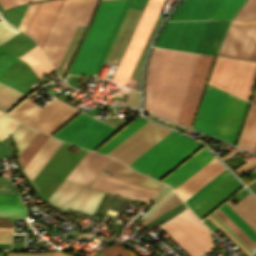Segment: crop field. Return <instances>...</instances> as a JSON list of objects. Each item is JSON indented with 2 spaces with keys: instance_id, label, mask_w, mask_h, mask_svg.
<instances>
[{
  "instance_id": "crop-field-34",
  "label": "crop field",
  "mask_w": 256,
  "mask_h": 256,
  "mask_svg": "<svg viewBox=\"0 0 256 256\" xmlns=\"http://www.w3.org/2000/svg\"><path fill=\"white\" fill-rule=\"evenodd\" d=\"M227 217H229L245 234L256 242V232L242 220L226 203L219 208Z\"/></svg>"
},
{
  "instance_id": "crop-field-40",
  "label": "crop field",
  "mask_w": 256,
  "mask_h": 256,
  "mask_svg": "<svg viewBox=\"0 0 256 256\" xmlns=\"http://www.w3.org/2000/svg\"><path fill=\"white\" fill-rule=\"evenodd\" d=\"M18 30L13 28L12 26L8 25L5 21L0 23V44L13 35L17 34Z\"/></svg>"
},
{
  "instance_id": "crop-field-39",
  "label": "crop field",
  "mask_w": 256,
  "mask_h": 256,
  "mask_svg": "<svg viewBox=\"0 0 256 256\" xmlns=\"http://www.w3.org/2000/svg\"><path fill=\"white\" fill-rule=\"evenodd\" d=\"M234 19H256V0H248Z\"/></svg>"
},
{
  "instance_id": "crop-field-52",
  "label": "crop field",
  "mask_w": 256,
  "mask_h": 256,
  "mask_svg": "<svg viewBox=\"0 0 256 256\" xmlns=\"http://www.w3.org/2000/svg\"><path fill=\"white\" fill-rule=\"evenodd\" d=\"M0 227H12V221L8 222V218H0Z\"/></svg>"
},
{
  "instance_id": "crop-field-8",
  "label": "crop field",
  "mask_w": 256,
  "mask_h": 256,
  "mask_svg": "<svg viewBox=\"0 0 256 256\" xmlns=\"http://www.w3.org/2000/svg\"><path fill=\"white\" fill-rule=\"evenodd\" d=\"M77 113L79 111L56 99L42 109L27 99L9 114L51 135Z\"/></svg>"
},
{
  "instance_id": "crop-field-43",
  "label": "crop field",
  "mask_w": 256,
  "mask_h": 256,
  "mask_svg": "<svg viewBox=\"0 0 256 256\" xmlns=\"http://www.w3.org/2000/svg\"><path fill=\"white\" fill-rule=\"evenodd\" d=\"M0 205L24 206L19 195H0Z\"/></svg>"
},
{
  "instance_id": "crop-field-7",
  "label": "crop field",
  "mask_w": 256,
  "mask_h": 256,
  "mask_svg": "<svg viewBox=\"0 0 256 256\" xmlns=\"http://www.w3.org/2000/svg\"><path fill=\"white\" fill-rule=\"evenodd\" d=\"M159 226L190 256L214 249L209 230L188 208Z\"/></svg>"
},
{
  "instance_id": "crop-field-53",
  "label": "crop field",
  "mask_w": 256,
  "mask_h": 256,
  "mask_svg": "<svg viewBox=\"0 0 256 256\" xmlns=\"http://www.w3.org/2000/svg\"><path fill=\"white\" fill-rule=\"evenodd\" d=\"M11 235H0V243H10Z\"/></svg>"
},
{
  "instance_id": "crop-field-14",
  "label": "crop field",
  "mask_w": 256,
  "mask_h": 256,
  "mask_svg": "<svg viewBox=\"0 0 256 256\" xmlns=\"http://www.w3.org/2000/svg\"><path fill=\"white\" fill-rule=\"evenodd\" d=\"M218 55L256 60V21H233Z\"/></svg>"
},
{
  "instance_id": "crop-field-9",
  "label": "crop field",
  "mask_w": 256,
  "mask_h": 256,
  "mask_svg": "<svg viewBox=\"0 0 256 256\" xmlns=\"http://www.w3.org/2000/svg\"><path fill=\"white\" fill-rule=\"evenodd\" d=\"M164 0H149L129 45L123 55L113 81L126 85L135 63L141 53Z\"/></svg>"
},
{
  "instance_id": "crop-field-48",
  "label": "crop field",
  "mask_w": 256,
  "mask_h": 256,
  "mask_svg": "<svg viewBox=\"0 0 256 256\" xmlns=\"http://www.w3.org/2000/svg\"><path fill=\"white\" fill-rule=\"evenodd\" d=\"M0 194H18L14 185H0Z\"/></svg>"
},
{
  "instance_id": "crop-field-59",
  "label": "crop field",
  "mask_w": 256,
  "mask_h": 256,
  "mask_svg": "<svg viewBox=\"0 0 256 256\" xmlns=\"http://www.w3.org/2000/svg\"><path fill=\"white\" fill-rule=\"evenodd\" d=\"M23 3H26V2H31V1H37V0H22Z\"/></svg>"
},
{
  "instance_id": "crop-field-25",
  "label": "crop field",
  "mask_w": 256,
  "mask_h": 256,
  "mask_svg": "<svg viewBox=\"0 0 256 256\" xmlns=\"http://www.w3.org/2000/svg\"><path fill=\"white\" fill-rule=\"evenodd\" d=\"M61 143L62 141L53 139L51 137L49 138V140L45 143L41 150L23 170L30 181L42 168L46 161L51 157V155L56 151V149L61 145Z\"/></svg>"
},
{
  "instance_id": "crop-field-38",
  "label": "crop field",
  "mask_w": 256,
  "mask_h": 256,
  "mask_svg": "<svg viewBox=\"0 0 256 256\" xmlns=\"http://www.w3.org/2000/svg\"><path fill=\"white\" fill-rule=\"evenodd\" d=\"M20 122L0 112V140L10 135Z\"/></svg>"
},
{
  "instance_id": "crop-field-22",
  "label": "crop field",
  "mask_w": 256,
  "mask_h": 256,
  "mask_svg": "<svg viewBox=\"0 0 256 256\" xmlns=\"http://www.w3.org/2000/svg\"><path fill=\"white\" fill-rule=\"evenodd\" d=\"M229 21H208L195 52L214 55Z\"/></svg>"
},
{
  "instance_id": "crop-field-37",
  "label": "crop field",
  "mask_w": 256,
  "mask_h": 256,
  "mask_svg": "<svg viewBox=\"0 0 256 256\" xmlns=\"http://www.w3.org/2000/svg\"><path fill=\"white\" fill-rule=\"evenodd\" d=\"M131 1H132V0H126L125 4H124V6H123V9H122V11H121V13H120V15H119V17H118V20H117V22H116V24H115V26H114V29H113V31H112L110 37H109V40H108V42H107V44H106V46H105V49H104V51H103V53H102V55H101V58H100V60H99V62H98V64H97V66H96V69H95V71H94L95 73L98 72V70H99V68H100V66H101V64H102V62H103V60H104V58H105V56H106V53H107V51H108V49H109V47H110V45H111V43H112V41H113V39H114V37H115V34H116V32H117V30H118V28H119V26H120V24H121V22H122V20H123V18H124V15H125V13H126L128 7H129V5H130V3H131ZM98 73H99V72H98Z\"/></svg>"
},
{
  "instance_id": "crop-field-45",
  "label": "crop field",
  "mask_w": 256,
  "mask_h": 256,
  "mask_svg": "<svg viewBox=\"0 0 256 256\" xmlns=\"http://www.w3.org/2000/svg\"><path fill=\"white\" fill-rule=\"evenodd\" d=\"M96 2H97V0H90L89 5H88L79 25L86 26L91 14H92V11L95 7Z\"/></svg>"
},
{
  "instance_id": "crop-field-11",
  "label": "crop field",
  "mask_w": 256,
  "mask_h": 256,
  "mask_svg": "<svg viewBox=\"0 0 256 256\" xmlns=\"http://www.w3.org/2000/svg\"><path fill=\"white\" fill-rule=\"evenodd\" d=\"M241 186L226 169L185 203L201 219Z\"/></svg>"
},
{
  "instance_id": "crop-field-4",
  "label": "crop field",
  "mask_w": 256,
  "mask_h": 256,
  "mask_svg": "<svg viewBox=\"0 0 256 256\" xmlns=\"http://www.w3.org/2000/svg\"><path fill=\"white\" fill-rule=\"evenodd\" d=\"M125 0L103 1L70 74L91 76Z\"/></svg>"
},
{
  "instance_id": "crop-field-30",
  "label": "crop field",
  "mask_w": 256,
  "mask_h": 256,
  "mask_svg": "<svg viewBox=\"0 0 256 256\" xmlns=\"http://www.w3.org/2000/svg\"><path fill=\"white\" fill-rule=\"evenodd\" d=\"M141 117V116H140ZM139 117V118H140ZM136 121V120H135ZM147 120L143 117L138 119L120 134H118L115 138L105 144L102 148H100L97 152L106 155L109 153L113 148H115L118 144H120L123 140H125L129 135H131L134 131H136L139 127H141Z\"/></svg>"
},
{
  "instance_id": "crop-field-17",
  "label": "crop field",
  "mask_w": 256,
  "mask_h": 256,
  "mask_svg": "<svg viewBox=\"0 0 256 256\" xmlns=\"http://www.w3.org/2000/svg\"><path fill=\"white\" fill-rule=\"evenodd\" d=\"M62 1L63 0H52L40 3L26 32L38 42L41 48Z\"/></svg>"
},
{
  "instance_id": "crop-field-57",
  "label": "crop field",
  "mask_w": 256,
  "mask_h": 256,
  "mask_svg": "<svg viewBox=\"0 0 256 256\" xmlns=\"http://www.w3.org/2000/svg\"><path fill=\"white\" fill-rule=\"evenodd\" d=\"M169 186H165L163 190L156 196V198L153 200V202L168 188Z\"/></svg>"
},
{
  "instance_id": "crop-field-15",
  "label": "crop field",
  "mask_w": 256,
  "mask_h": 256,
  "mask_svg": "<svg viewBox=\"0 0 256 256\" xmlns=\"http://www.w3.org/2000/svg\"><path fill=\"white\" fill-rule=\"evenodd\" d=\"M206 22H167L155 45L194 52Z\"/></svg>"
},
{
  "instance_id": "crop-field-35",
  "label": "crop field",
  "mask_w": 256,
  "mask_h": 256,
  "mask_svg": "<svg viewBox=\"0 0 256 256\" xmlns=\"http://www.w3.org/2000/svg\"><path fill=\"white\" fill-rule=\"evenodd\" d=\"M24 95L0 84V110L6 111Z\"/></svg>"
},
{
  "instance_id": "crop-field-56",
  "label": "crop field",
  "mask_w": 256,
  "mask_h": 256,
  "mask_svg": "<svg viewBox=\"0 0 256 256\" xmlns=\"http://www.w3.org/2000/svg\"><path fill=\"white\" fill-rule=\"evenodd\" d=\"M10 244H0V249H9Z\"/></svg>"
},
{
  "instance_id": "crop-field-62",
  "label": "crop field",
  "mask_w": 256,
  "mask_h": 256,
  "mask_svg": "<svg viewBox=\"0 0 256 256\" xmlns=\"http://www.w3.org/2000/svg\"><path fill=\"white\" fill-rule=\"evenodd\" d=\"M254 104H256V96H255V99H254V102H253Z\"/></svg>"
},
{
  "instance_id": "crop-field-5",
  "label": "crop field",
  "mask_w": 256,
  "mask_h": 256,
  "mask_svg": "<svg viewBox=\"0 0 256 256\" xmlns=\"http://www.w3.org/2000/svg\"><path fill=\"white\" fill-rule=\"evenodd\" d=\"M214 158L204 147L162 182L170 185L175 190ZM224 169L226 168L215 158L175 191L184 201Z\"/></svg>"
},
{
  "instance_id": "crop-field-24",
  "label": "crop field",
  "mask_w": 256,
  "mask_h": 256,
  "mask_svg": "<svg viewBox=\"0 0 256 256\" xmlns=\"http://www.w3.org/2000/svg\"><path fill=\"white\" fill-rule=\"evenodd\" d=\"M75 0H64L61 8L57 14V17L54 21V24L50 30V33L46 39V42L42 48L45 55L49 58L53 47L58 39V36L62 30V27L67 19V16L72 8V5Z\"/></svg>"
},
{
  "instance_id": "crop-field-31",
  "label": "crop field",
  "mask_w": 256,
  "mask_h": 256,
  "mask_svg": "<svg viewBox=\"0 0 256 256\" xmlns=\"http://www.w3.org/2000/svg\"><path fill=\"white\" fill-rule=\"evenodd\" d=\"M244 0H223L210 20L231 19Z\"/></svg>"
},
{
  "instance_id": "crop-field-1",
  "label": "crop field",
  "mask_w": 256,
  "mask_h": 256,
  "mask_svg": "<svg viewBox=\"0 0 256 256\" xmlns=\"http://www.w3.org/2000/svg\"><path fill=\"white\" fill-rule=\"evenodd\" d=\"M199 56L154 48L147 67L144 109L177 122Z\"/></svg>"
},
{
  "instance_id": "crop-field-49",
  "label": "crop field",
  "mask_w": 256,
  "mask_h": 256,
  "mask_svg": "<svg viewBox=\"0 0 256 256\" xmlns=\"http://www.w3.org/2000/svg\"><path fill=\"white\" fill-rule=\"evenodd\" d=\"M254 165H256V158L252 159L251 161L247 162L246 164H244L243 166L239 167L238 169H236L234 171L240 175L243 172L250 169L251 167H253Z\"/></svg>"
},
{
  "instance_id": "crop-field-55",
  "label": "crop field",
  "mask_w": 256,
  "mask_h": 256,
  "mask_svg": "<svg viewBox=\"0 0 256 256\" xmlns=\"http://www.w3.org/2000/svg\"><path fill=\"white\" fill-rule=\"evenodd\" d=\"M238 151H240V150L236 149V150H234V151L228 153L227 155H225V156H223V157H221V158H222V160L224 161V160H226L227 158H229L230 156H232V155H234L235 153H237Z\"/></svg>"
},
{
  "instance_id": "crop-field-61",
  "label": "crop field",
  "mask_w": 256,
  "mask_h": 256,
  "mask_svg": "<svg viewBox=\"0 0 256 256\" xmlns=\"http://www.w3.org/2000/svg\"><path fill=\"white\" fill-rule=\"evenodd\" d=\"M254 153H256V145H255V148H254V151H253Z\"/></svg>"
},
{
  "instance_id": "crop-field-28",
  "label": "crop field",
  "mask_w": 256,
  "mask_h": 256,
  "mask_svg": "<svg viewBox=\"0 0 256 256\" xmlns=\"http://www.w3.org/2000/svg\"><path fill=\"white\" fill-rule=\"evenodd\" d=\"M256 142V106L251 105L245 127L239 142V147L253 151Z\"/></svg>"
},
{
  "instance_id": "crop-field-32",
  "label": "crop field",
  "mask_w": 256,
  "mask_h": 256,
  "mask_svg": "<svg viewBox=\"0 0 256 256\" xmlns=\"http://www.w3.org/2000/svg\"><path fill=\"white\" fill-rule=\"evenodd\" d=\"M37 131L20 124L19 127L12 134L13 139L18 146V155L24 150L32 138L36 135Z\"/></svg>"
},
{
  "instance_id": "crop-field-20",
  "label": "crop field",
  "mask_w": 256,
  "mask_h": 256,
  "mask_svg": "<svg viewBox=\"0 0 256 256\" xmlns=\"http://www.w3.org/2000/svg\"><path fill=\"white\" fill-rule=\"evenodd\" d=\"M110 158L88 151L66 179L90 186Z\"/></svg>"
},
{
  "instance_id": "crop-field-26",
  "label": "crop field",
  "mask_w": 256,
  "mask_h": 256,
  "mask_svg": "<svg viewBox=\"0 0 256 256\" xmlns=\"http://www.w3.org/2000/svg\"><path fill=\"white\" fill-rule=\"evenodd\" d=\"M19 58L27 62L40 79L54 70H52L38 46H35Z\"/></svg>"
},
{
  "instance_id": "crop-field-10",
  "label": "crop field",
  "mask_w": 256,
  "mask_h": 256,
  "mask_svg": "<svg viewBox=\"0 0 256 256\" xmlns=\"http://www.w3.org/2000/svg\"><path fill=\"white\" fill-rule=\"evenodd\" d=\"M116 131V129L82 113L54 137L93 150Z\"/></svg>"
},
{
  "instance_id": "crop-field-47",
  "label": "crop field",
  "mask_w": 256,
  "mask_h": 256,
  "mask_svg": "<svg viewBox=\"0 0 256 256\" xmlns=\"http://www.w3.org/2000/svg\"><path fill=\"white\" fill-rule=\"evenodd\" d=\"M222 232H224L247 256H249V252L240 245L222 226H220L211 216L208 217Z\"/></svg>"
},
{
  "instance_id": "crop-field-23",
  "label": "crop field",
  "mask_w": 256,
  "mask_h": 256,
  "mask_svg": "<svg viewBox=\"0 0 256 256\" xmlns=\"http://www.w3.org/2000/svg\"><path fill=\"white\" fill-rule=\"evenodd\" d=\"M110 172H113L112 178L123 180L126 182L134 183L137 185L145 186L148 188L160 190V188L164 185L161 184L151 178H148L114 160H112L109 165L105 168ZM102 175H105L102 173ZM107 176V175H105ZM110 177V176H109Z\"/></svg>"
},
{
  "instance_id": "crop-field-6",
  "label": "crop field",
  "mask_w": 256,
  "mask_h": 256,
  "mask_svg": "<svg viewBox=\"0 0 256 256\" xmlns=\"http://www.w3.org/2000/svg\"><path fill=\"white\" fill-rule=\"evenodd\" d=\"M256 78V63L217 57L209 84L249 100Z\"/></svg>"
},
{
  "instance_id": "crop-field-3",
  "label": "crop field",
  "mask_w": 256,
  "mask_h": 256,
  "mask_svg": "<svg viewBox=\"0 0 256 256\" xmlns=\"http://www.w3.org/2000/svg\"><path fill=\"white\" fill-rule=\"evenodd\" d=\"M201 146L172 131L128 166L159 180Z\"/></svg>"
},
{
  "instance_id": "crop-field-36",
  "label": "crop field",
  "mask_w": 256,
  "mask_h": 256,
  "mask_svg": "<svg viewBox=\"0 0 256 256\" xmlns=\"http://www.w3.org/2000/svg\"><path fill=\"white\" fill-rule=\"evenodd\" d=\"M221 222H223L241 241H243L251 250L255 243L245 235L229 218H227L219 209L213 213Z\"/></svg>"
},
{
  "instance_id": "crop-field-44",
  "label": "crop field",
  "mask_w": 256,
  "mask_h": 256,
  "mask_svg": "<svg viewBox=\"0 0 256 256\" xmlns=\"http://www.w3.org/2000/svg\"><path fill=\"white\" fill-rule=\"evenodd\" d=\"M174 192L170 188L138 221L146 219L152 212H154L166 199H168Z\"/></svg>"
},
{
  "instance_id": "crop-field-50",
  "label": "crop field",
  "mask_w": 256,
  "mask_h": 256,
  "mask_svg": "<svg viewBox=\"0 0 256 256\" xmlns=\"http://www.w3.org/2000/svg\"><path fill=\"white\" fill-rule=\"evenodd\" d=\"M0 4H1L5 9L18 5L15 0H0Z\"/></svg>"
},
{
  "instance_id": "crop-field-33",
  "label": "crop field",
  "mask_w": 256,
  "mask_h": 256,
  "mask_svg": "<svg viewBox=\"0 0 256 256\" xmlns=\"http://www.w3.org/2000/svg\"><path fill=\"white\" fill-rule=\"evenodd\" d=\"M104 256H132L124 248L118 244H113L109 246L106 250L100 252ZM4 253L0 252V256H3ZM8 256H69L61 252L48 253V254H8Z\"/></svg>"
},
{
  "instance_id": "crop-field-13",
  "label": "crop field",
  "mask_w": 256,
  "mask_h": 256,
  "mask_svg": "<svg viewBox=\"0 0 256 256\" xmlns=\"http://www.w3.org/2000/svg\"><path fill=\"white\" fill-rule=\"evenodd\" d=\"M169 132L171 130L148 121L107 155L128 165Z\"/></svg>"
},
{
  "instance_id": "crop-field-12",
  "label": "crop field",
  "mask_w": 256,
  "mask_h": 256,
  "mask_svg": "<svg viewBox=\"0 0 256 256\" xmlns=\"http://www.w3.org/2000/svg\"><path fill=\"white\" fill-rule=\"evenodd\" d=\"M102 196L103 193L64 179L47 202L66 213L73 209L93 215Z\"/></svg>"
},
{
  "instance_id": "crop-field-46",
  "label": "crop field",
  "mask_w": 256,
  "mask_h": 256,
  "mask_svg": "<svg viewBox=\"0 0 256 256\" xmlns=\"http://www.w3.org/2000/svg\"><path fill=\"white\" fill-rule=\"evenodd\" d=\"M125 105L139 108V92L131 89Z\"/></svg>"
},
{
  "instance_id": "crop-field-2",
  "label": "crop field",
  "mask_w": 256,
  "mask_h": 256,
  "mask_svg": "<svg viewBox=\"0 0 256 256\" xmlns=\"http://www.w3.org/2000/svg\"><path fill=\"white\" fill-rule=\"evenodd\" d=\"M247 104L207 88L193 128L234 144Z\"/></svg>"
},
{
  "instance_id": "crop-field-58",
  "label": "crop field",
  "mask_w": 256,
  "mask_h": 256,
  "mask_svg": "<svg viewBox=\"0 0 256 256\" xmlns=\"http://www.w3.org/2000/svg\"><path fill=\"white\" fill-rule=\"evenodd\" d=\"M105 195L106 194H104V196H103V198H102V200H101V202H100V204H99V206H98V208H97V210L99 209V207H100V205H101V203H102V201H103V199H104V197H105ZM109 197V196H108ZM108 199V198H107ZM107 201V200H106ZM106 203V202H105ZM105 205V204H104ZM104 207V206H103ZM103 209V208H102ZM102 211V210H101Z\"/></svg>"
},
{
  "instance_id": "crop-field-60",
  "label": "crop field",
  "mask_w": 256,
  "mask_h": 256,
  "mask_svg": "<svg viewBox=\"0 0 256 256\" xmlns=\"http://www.w3.org/2000/svg\"><path fill=\"white\" fill-rule=\"evenodd\" d=\"M17 2H18V4H21L22 3V1L21 0H16Z\"/></svg>"
},
{
  "instance_id": "crop-field-54",
  "label": "crop field",
  "mask_w": 256,
  "mask_h": 256,
  "mask_svg": "<svg viewBox=\"0 0 256 256\" xmlns=\"http://www.w3.org/2000/svg\"><path fill=\"white\" fill-rule=\"evenodd\" d=\"M0 234H12V228H0Z\"/></svg>"
},
{
  "instance_id": "crop-field-19",
  "label": "crop field",
  "mask_w": 256,
  "mask_h": 256,
  "mask_svg": "<svg viewBox=\"0 0 256 256\" xmlns=\"http://www.w3.org/2000/svg\"><path fill=\"white\" fill-rule=\"evenodd\" d=\"M94 188L103 192L112 193L127 197L133 200L148 203L157 191L139 187L133 184L115 180L109 177L100 175L95 181Z\"/></svg>"
},
{
  "instance_id": "crop-field-41",
  "label": "crop field",
  "mask_w": 256,
  "mask_h": 256,
  "mask_svg": "<svg viewBox=\"0 0 256 256\" xmlns=\"http://www.w3.org/2000/svg\"><path fill=\"white\" fill-rule=\"evenodd\" d=\"M0 215L4 216H27L24 207L0 206Z\"/></svg>"
},
{
  "instance_id": "crop-field-42",
  "label": "crop field",
  "mask_w": 256,
  "mask_h": 256,
  "mask_svg": "<svg viewBox=\"0 0 256 256\" xmlns=\"http://www.w3.org/2000/svg\"><path fill=\"white\" fill-rule=\"evenodd\" d=\"M38 4L39 3L31 4L30 6L28 5L29 8H28V10H27V12H26V14H25V16H24V18H23V20H22L18 29L22 30L23 32H26Z\"/></svg>"
},
{
  "instance_id": "crop-field-16",
  "label": "crop field",
  "mask_w": 256,
  "mask_h": 256,
  "mask_svg": "<svg viewBox=\"0 0 256 256\" xmlns=\"http://www.w3.org/2000/svg\"><path fill=\"white\" fill-rule=\"evenodd\" d=\"M213 57L201 55L190 89L188 91L180 118L179 123L188 127L191 126L196 107L207 77V73Z\"/></svg>"
},
{
  "instance_id": "crop-field-51",
  "label": "crop field",
  "mask_w": 256,
  "mask_h": 256,
  "mask_svg": "<svg viewBox=\"0 0 256 256\" xmlns=\"http://www.w3.org/2000/svg\"><path fill=\"white\" fill-rule=\"evenodd\" d=\"M219 224H221L239 243H241L250 253L252 252L244 243H242L224 224H222L213 214L211 215Z\"/></svg>"
},
{
  "instance_id": "crop-field-29",
  "label": "crop field",
  "mask_w": 256,
  "mask_h": 256,
  "mask_svg": "<svg viewBox=\"0 0 256 256\" xmlns=\"http://www.w3.org/2000/svg\"><path fill=\"white\" fill-rule=\"evenodd\" d=\"M49 136H46L41 133H37V135L33 138V140L29 143V145L25 148V150L19 156V164L22 169L29 163V161L34 157V155L38 152V150L43 146V144L48 140Z\"/></svg>"
},
{
  "instance_id": "crop-field-21",
  "label": "crop field",
  "mask_w": 256,
  "mask_h": 256,
  "mask_svg": "<svg viewBox=\"0 0 256 256\" xmlns=\"http://www.w3.org/2000/svg\"><path fill=\"white\" fill-rule=\"evenodd\" d=\"M222 0H184L170 20H209Z\"/></svg>"
},
{
  "instance_id": "crop-field-18",
  "label": "crop field",
  "mask_w": 256,
  "mask_h": 256,
  "mask_svg": "<svg viewBox=\"0 0 256 256\" xmlns=\"http://www.w3.org/2000/svg\"><path fill=\"white\" fill-rule=\"evenodd\" d=\"M89 0H76L68 16L64 28L49 58L50 62L57 70L63 55L71 41V38L78 26V23L86 9Z\"/></svg>"
},
{
  "instance_id": "crop-field-27",
  "label": "crop field",
  "mask_w": 256,
  "mask_h": 256,
  "mask_svg": "<svg viewBox=\"0 0 256 256\" xmlns=\"http://www.w3.org/2000/svg\"><path fill=\"white\" fill-rule=\"evenodd\" d=\"M226 203L256 231V199L250 193L235 206Z\"/></svg>"
},
{
  "instance_id": "crop-field-63",
  "label": "crop field",
  "mask_w": 256,
  "mask_h": 256,
  "mask_svg": "<svg viewBox=\"0 0 256 256\" xmlns=\"http://www.w3.org/2000/svg\"><path fill=\"white\" fill-rule=\"evenodd\" d=\"M0 251H9V250H0Z\"/></svg>"
}]
</instances>
